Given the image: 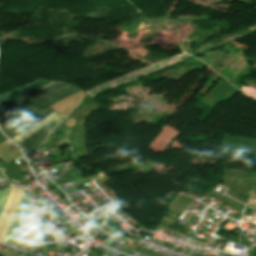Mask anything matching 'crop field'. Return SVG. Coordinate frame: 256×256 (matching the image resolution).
Returning a JSON list of instances; mask_svg holds the SVG:
<instances>
[{
  "mask_svg": "<svg viewBox=\"0 0 256 256\" xmlns=\"http://www.w3.org/2000/svg\"><path fill=\"white\" fill-rule=\"evenodd\" d=\"M78 91H80L78 88L69 84L45 97L43 100L23 109L24 113L22 115L1 128L5 134L12 139L32 124L54 111L48 107L49 105Z\"/></svg>",
  "mask_w": 256,
  "mask_h": 256,
  "instance_id": "crop-field-1",
  "label": "crop field"
},
{
  "mask_svg": "<svg viewBox=\"0 0 256 256\" xmlns=\"http://www.w3.org/2000/svg\"><path fill=\"white\" fill-rule=\"evenodd\" d=\"M24 190L13 188L0 217V242H4L10 223L19 207Z\"/></svg>",
  "mask_w": 256,
  "mask_h": 256,
  "instance_id": "crop-field-2",
  "label": "crop field"
},
{
  "mask_svg": "<svg viewBox=\"0 0 256 256\" xmlns=\"http://www.w3.org/2000/svg\"><path fill=\"white\" fill-rule=\"evenodd\" d=\"M25 198H26V193H24L18 212L10 226V230L5 240V243L15 244L19 237L22 226L30 210L29 208L25 207Z\"/></svg>",
  "mask_w": 256,
  "mask_h": 256,
  "instance_id": "crop-field-3",
  "label": "crop field"
},
{
  "mask_svg": "<svg viewBox=\"0 0 256 256\" xmlns=\"http://www.w3.org/2000/svg\"><path fill=\"white\" fill-rule=\"evenodd\" d=\"M65 117L58 116L54 120H52L50 123L45 125L44 127L37 130L34 134H32L29 138L22 141L20 144H18L20 147L32 152L37 146H39L43 140L45 139V136L47 132L54 127L57 123H59L62 119Z\"/></svg>",
  "mask_w": 256,
  "mask_h": 256,
  "instance_id": "crop-field-4",
  "label": "crop field"
},
{
  "mask_svg": "<svg viewBox=\"0 0 256 256\" xmlns=\"http://www.w3.org/2000/svg\"><path fill=\"white\" fill-rule=\"evenodd\" d=\"M64 85H66V84L53 82L38 91H35L27 96L18 98L12 102L25 108V107L31 105L32 103L44 98L46 95L52 93L53 91L61 88Z\"/></svg>",
  "mask_w": 256,
  "mask_h": 256,
  "instance_id": "crop-field-5",
  "label": "crop field"
},
{
  "mask_svg": "<svg viewBox=\"0 0 256 256\" xmlns=\"http://www.w3.org/2000/svg\"><path fill=\"white\" fill-rule=\"evenodd\" d=\"M50 82L51 81H46V80L40 79L36 82H33L31 84H28L26 86H23L21 88L11 91V92H8L6 94H3L0 96V105L5 104L9 101H12L18 97L29 94L34 90L40 89V88L48 85Z\"/></svg>",
  "mask_w": 256,
  "mask_h": 256,
  "instance_id": "crop-field-6",
  "label": "crop field"
},
{
  "mask_svg": "<svg viewBox=\"0 0 256 256\" xmlns=\"http://www.w3.org/2000/svg\"><path fill=\"white\" fill-rule=\"evenodd\" d=\"M38 220L39 218H37L33 213V211L31 210L23 226V229L17 244L30 242L32 235L34 233V230L36 228V225L38 223Z\"/></svg>",
  "mask_w": 256,
  "mask_h": 256,
  "instance_id": "crop-field-7",
  "label": "crop field"
},
{
  "mask_svg": "<svg viewBox=\"0 0 256 256\" xmlns=\"http://www.w3.org/2000/svg\"><path fill=\"white\" fill-rule=\"evenodd\" d=\"M222 150L256 155L255 145L232 142L225 139L223 140Z\"/></svg>",
  "mask_w": 256,
  "mask_h": 256,
  "instance_id": "crop-field-8",
  "label": "crop field"
},
{
  "mask_svg": "<svg viewBox=\"0 0 256 256\" xmlns=\"http://www.w3.org/2000/svg\"><path fill=\"white\" fill-rule=\"evenodd\" d=\"M58 115L59 114L54 111L51 115H49L48 117L44 118L40 122L36 123L32 127H30L28 130L24 131L23 133H21L20 135H18L17 137H15L12 140L15 141L17 144L20 143L22 140H24L25 138L29 137L37 129H39L40 127H42L45 124H47L49 121H51L53 118H55Z\"/></svg>",
  "mask_w": 256,
  "mask_h": 256,
  "instance_id": "crop-field-9",
  "label": "crop field"
},
{
  "mask_svg": "<svg viewBox=\"0 0 256 256\" xmlns=\"http://www.w3.org/2000/svg\"><path fill=\"white\" fill-rule=\"evenodd\" d=\"M10 189L11 188H8V189H5V190L0 192V215H1V212L3 210L4 204L6 202V199L8 197Z\"/></svg>",
  "mask_w": 256,
  "mask_h": 256,
  "instance_id": "crop-field-10",
  "label": "crop field"
},
{
  "mask_svg": "<svg viewBox=\"0 0 256 256\" xmlns=\"http://www.w3.org/2000/svg\"><path fill=\"white\" fill-rule=\"evenodd\" d=\"M44 225H45V223H44L42 220H40V221H39V224H38V226H37V228H36V231H35V233H34V235H33V238H32V240H31L30 243H36V242H37V240H38V238H39V235H40V233H41V231H42Z\"/></svg>",
  "mask_w": 256,
  "mask_h": 256,
  "instance_id": "crop-field-11",
  "label": "crop field"
}]
</instances>
